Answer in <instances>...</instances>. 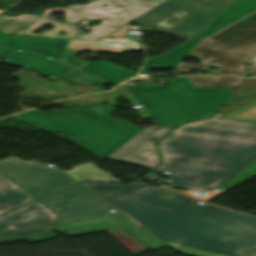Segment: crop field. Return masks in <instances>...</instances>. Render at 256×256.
I'll return each instance as SVG.
<instances>
[{
	"label": "crop field",
	"instance_id": "crop-field-1",
	"mask_svg": "<svg viewBox=\"0 0 256 256\" xmlns=\"http://www.w3.org/2000/svg\"><path fill=\"white\" fill-rule=\"evenodd\" d=\"M175 250L194 256H256V218L142 182L83 183Z\"/></svg>",
	"mask_w": 256,
	"mask_h": 256
},
{
	"label": "crop field",
	"instance_id": "crop-field-2",
	"mask_svg": "<svg viewBox=\"0 0 256 256\" xmlns=\"http://www.w3.org/2000/svg\"><path fill=\"white\" fill-rule=\"evenodd\" d=\"M214 117L173 129L159 143L165 184L209 191L256 155V124Z\"/></svg>",
	"mask_w": 256,
	"mask_h": 256
},
{
	"label": "crop field",
	"instance_id": "crop-field-3",
	"mask_svg": "<svg viewBox=\"0 0 256 256\" xmlns=\"http://www.w3.org/2000/svg\"><path fill=\"white\" fill-rule=\"evenodd\" d=\"M53 104L70 108L77 103L60 100ZM112 109L90 103L51 112L33 109L13 116L40 129L66 133L68 139L102 160L141 131L127 121L110 117Z\"/></svg>",
	"mask_w": 256,
	"mask_h": 256
},
{
	"label": "crop field",
	"instance_id": "crop-field-4",
	"mask_svg": "<svg viewBox=\"0 0 256 256\" xmlns=\"http://www.w3.org/2000/svg\"><path fill=\"white\" fill-rule=\"evenodd\" d=\"M164 1L165 0H98L88 5H69L65 8H45L41 17L31 14H22L18 17H6L0 14V31L5 34L13 35L70 38L79 32V30H76V25L62 24L46 19L52 11L66 12L64 20L66 23H78V21L83 19L101 20L107 18L105 16L106 14L116 17L107 22L110 26L108 29L100 26H92L90 27L91 32L89 34L82 33L73 38L98 40ZM102 4H107V7H102ZM46 23L54 25L55 28L51 31H44L41 35L31 34L32 31ZM61 31L68 33L60 37L58 33Z\"/></svg>",
	"mask_w": 256,
	"mask_h": 256
},
{
	"label": "crop field",
	"instance_id": "crop-field-5",
	"mask_svg": "<svg viewBox=\"0 0 256 256\" xmlns=\"http://www.w3.org/2000/svg\"><path fill=\"white\" fill-rule=\"evenodd\" d=\"M168 81V86L151 85L141 88L126 85L131 92L127 97L132 104L144 106L136 109L143 119L152 117L156 124L173 126L207 117L217 106L236 99L231 88H196L187 77Z\"/></svg>",
	"mask_w": 256,
	"mask_h": 256
},
{
	"label": "crop field",
	"instance_id": "crop-field-6",
	"mask_svg": "<svg viewBox=\"0 0 256 256\" xmlns=\"http://www.w3.org/2000/svg\"><path fill=\"white\" fill-rule=\"evenodd\" d=\"M210 38L188 56L208 58V64L220 65V74L245 76L244 61L256 52V11Z\"/></svg>",
	"mask_w": 256,
	"mask_h": 256
},
{
	"label": "crop field",
	"instance_id": "crop-field-7",
	"mask_svg": "<svg viewBox=\"0 0 256 256\" xmlns=\"http://www.w3.org/2000/svg\"><path fill=\"white\" fill-rule=\"evenodd\" d=\"M233 0H167L149 12L133 20L150 30L157 29L184 39L197 34ZM187 12L179 17L174 14ZM180 18L174 25L164 21L171 17Z\"/></svg>",
	"mask_w": 256,
	"mask_h": 256
},
{
	"label": "crop field",
	"instance_id": "crop-field-8",
	"mask_svg": "<svg viewBox=\"0 0 256 256\" xmlns=\"http://www.w3.org/2000/svg\"><path fill=\"white\" fill-rule=\"evenodd\" d=\"M256 10V0H234L214 20L204 27L189 42L167 52L166 54L147 59L140 74H150V69L174 68L182 61L203 39L215 34L246 15ZM153 77L167 76L166 74H152Z\"/></svg>",
	"mask_w": 256,
	"mask_h": 256
},
{
	"label": "crop field",
	"instance_id": "crop-field-9",
	"mask_svg": "<svg viewBox=\"0 0 256 256\" xmlns=\"http://www.w3.org/2000/svg\"><path fill=\"white\" fill-rule=\"evenodd\" d=\"M0 173L33 198L75 183L60 171L14 156L0 159Z\"/></svg>",
	"mask_w": 256,
	"mask_h": 256
},
{
	"label": "crop field",
	"instance_id": "crop-field-10",
	"mask_svg": "<svg viewBox=\"0 0 256 256\" xmlns=\"http://www.w3.org/2000/svg\"><path fill=\"white\" fill-rule=\"evenodd\" d=\"M38 200L57 214L55 223L108 214L110 213L108 210L112 209L80 185Z\"/></svg>",
	"mask_w": 256,
	"mask_h": 256
},
{
	"label": "crop field",
	"instance_id": "crop-field-11",
	"mask_svg": "<svg viewBox=\"0 0 256 256\" xmlns=\"http://www.w3.org/2000/svg\"><path fill=\"white\" fill-rule=\"evenodd\" d=\"M67 235L89 233L118 228L148 250L165 246L143 228L136 225L123 214H113L93 219L57 224ZM61 230V231H62Z\"/></svg>",
	"mask_w": 256,
	"mask_h": 256
},
{
	"label": "crop field",
	"instance_id": "crop-field-12",
	"mask_svg": "<svg viewBox=\"0 0 256 256\" xmlns=\"http://www.w3.org/2000/svg\"><path fill=\"white\" fill-rule=\"evenodd\" d=\"M169 129V127L150 125L107 158L154 168L159 163L154 142Z\"/></svg>",
	"mask_w": 256,
	"mask_h": 256
},
{
	"label": "crop field",
	"instance_id": "crop-field-13",
	"mask_svg": "<svg viewBox=\"0 0 256 256\" xmlns=\"http://www.w3.org/2000/svg\"><path fill=\"white\" fill-rule=\"evenodd\" d=\"M56 215L37 200L0 217V230L26 229L53 224Z\"/></svg>",
	"mask_w": 256,
	"mask_h": 256
},
{
	"label": "crop field",
	"instance_id": "crop-field-14",
	"mask_svg": "<svg viewBox=\"0 0 256 256\" xmlns=\"http://www.w3.org/2000/svg\"><path fill=\"white\" fill-rule=\"evenodd\" d=\"M68 40L7 35L1 47L40 53L60 62Z\"/></svg>",
	"mask_w": 256,
	"mask_h": 256
},
{
	"label": "crop field",
	"instance_id": "crop-field-15",
	"mask_svg": "<svg viewBox=\"0 0 256 256\" xmlns=\"http://www.w3.org/2000/svg\"><path fill=\"white\" fill-rule=\"evenodd\" d=\"M0 56L7 57V62L9 63L25 66L54 79L75 70L62 63L35 53L1 48Z\"/></svg>",
	"mask_w": 256,
	"mask_h": 256
},
{
	"label": "crop field",
	"instance_id": "crop-field-16",
	"mask_svg": "<svg viewBox=\"0 0 256 256\" xmlns=\"http://www.w3.org/2000/svg\"><path fill=\"white\" fill-rule=\"evenodd\" d=\"M129 25H124L113 33L100 39L99 41L71 40L69 47L84 50L101 51V52H118L123 53L129 50H142L141 44L130 37L126 32ZM129 37L128 40L123 39ZM115 37L116 39H108Z\"/></svg>",
	"mask_w": 256,
	"mask_h": 256
},
{
	"label": "crop field",
	"instance_id": "crop-field-17",
	"mask_svg": "<svg viewBox=\"0 0 256 256\" xmlns=\"http://www.w3.org/2000/svg\"><path fill=\"white\" fill-rule=\"evenodd\" d=\"M78 70L109 81L115 85L135 74L133 71L106 61L93 62L79 68Z\"/></svg>",
	"mask_w": 256,
	"mask_h": 256
},
{
	"label": "crop field",
	"instance_id": "crop-field-18",
	"mask_svg": "<svg viewBox=\"0 0 256 256\" xmlns=\"http://www.w3.org/2000/svg\"><path fill=\"white\" fill-rule=\"evenodd\" d=\"M31 199L33 198L0 174V214Z\"/></svg>",
	"mask_w": 256,
	"mask_h": 256
},
{
	"label": "crop field",
	"instance_id": "crop-field-19",
	"mask_svg": "<svg viewBox=\"0 0 256 256\" xmlns=\"http://www.w3.org/2000/svg\"><path fill=\"white\" fill-rule=\"evenodd\" d=\"M71 177L77 181H110L119 182L111 175L103 172L93 166L91 163H86L77 167H73L72 170L66 171Z\"/></svg>",
	"mask_w": 256,
	"mask_h": 256
},
{
	"label": "crop field",
	"instance_id": "crop-field-20",
	"mask_svg": "<svg viewBox=\"0 0 256 256\" xmlns=\"http://www.w3.org/2000/svg\"><path fill=\"white\" fill-rule=\"evenodd\" d=\"M45 228L42 227V228L21 231V232H13V231L0 232V243L23 240V239H27L29 242H32L37 240L48 239L55 236L53 233H51ZM12 233H16V234L12 235Z\"/></svg>",
	"mask_w": 256,
	"mask_h": 256
},
{
	"label": "crop field",
	"instance_id": "crop-field-21",
	"mask_svg": "<svg viewBox=\"0 0 256 256\" xmlns=\"http://www.w3.org/2000/svg\"><path fill=\"white\" fill-rule=\"evenodd\" d=\"M191 82H195L198 87H236L244 79L226 76H187ZM202 83L203 85H199ZM194 85V86H195Z\"/></svg>",
	"mask_w": 256,
	"mask_h": 256
},
{
	"label": "crop field",
	"instance_id": "crop-field-22",
	"mask_svg": "<svg viewBox=\"0 0 256 256\" xmlns=\"http://www.w3.org/2000/svg\"><path fill=\"white\" fill-rule=\"evenodd\" d=\"M61 78L79 83V84H86V83H93V84H97V85H103V84H107L109 82H106L104 80L98 79L96 77H93L91 75H88L86 73H83L81 71L75 70Z\"/></svg>",
	"mask_w": 256,
	"mask_h": 256
},
{
	"label": "crop field",
	"instance_id": "crop-field-23",
	"mask_svg": "<svg viewBox=\"0 0 256 256\" xmlns=\"http://www.w3.org/2000/svg\"><path fill=\"white\" fill-rule=\"evenodd\" d=\"M108 232L112 234L119 242H121L133 254L144 251V249H142L140 246H138L136 243H134L132 240H130L128 237H126L117 229L109 230Z\"/></svg>",
	"mask_w": 256,
	"mask_h": 256
},
{
	"label": "crop field",
	"instance_id": "crop-field-24",
	"mask_svg": "<svg viewBox=\"0 0 256 256\" xmlns=\"http://www.w3.org/2000/svg\"><path fill=\"white\" fill-rule=\"evenodd\" d=\"M78 51L76 50H70L68 49L63 60H62V63L66 64V65H69L75 69L89 63V62H85V61H81V60H77V59H74L76 54H77Z\"/></svg>",
	"mask_w": 256,
	"mask_h": 256
},
{
	"label": "crop field",
	"instance_id": "crop-field-25",
	"mask_svg": "<svg viewBox=\"0 0 256 256\" xmlns=\"http://www.w3.org/2000/svg\"><path fill=\"white\" fill-rule=\"evenodd\" d=\"M256 91V79H246L239 87L235 88L234 93L240 97Z\"/></svg>",
	"mask_w": 256,
	"mask_h": 256
},
{
	"label": "crop field",
	"instance_id": "crop-field-26",
	"mask_svg": "<svg viewBox=\"0 0 256 256\" xmlns=\"http://www.w3.org/2000/svg\"><path fill=\"white\" fill-rule=\"evenodd\" d=\"M253 99H256V95L242 98V99H240V100H238L234 103H231L227 106H224V107L220 108L218 111H221L223 113H227V112H229V111H231V110H233V109H235V108H237V107H239V106H241V105H243V104H245V103H247V102H249Z\"/></svg>",
	"mask_w": 256,
	"mask_h": 256
},
{
	"label": "crop field",
	"instance_id": "crop-field-27",
	"mask_svg": "<svg viewBox=\"0 0 256 256\" xmlns=\"http://www.w3.org/2000/svg\"><path fill=\"white\" fill-rule=\"evenodd\" d=\"M175 68L184 70V71H188V72H190L194 69H206L204 63L194 65V64H190V63H184V62H180Z\"/></svg>",
	"mask_w": 256,
	"mask_h": 256
},
{
	"label": "crop field",
	"instance_id": "crop-field-28",
	"mask_svg": "<svg viewBox=\"0 0 256 256\" xmlns=\"http://www.w3.org/2000/svg\"><path fill=\"white\" fill-rule=\"evenodd\" d=\"M170 189H171V188H170ZM174 190H176V189H174ZM178 191H181V190H178ZM183 192H185V193H187V194H189V195H191V196H194V197H196V198H198V199H201V200H203V201H205V202H207V201L213 199L214 197H216L217 195H219V194L222 193V192H210L207 196L198 197V196H196L195 194H193L192 192H189V191H183ZM222 194H223V193H222Z\"/></svg>",
	"mask_w": 256,
	"mask_h": 256
},
{
	"label": "crop field",
	"instance_id": "crop-field-29",
	"mask_svg": "<svg viewBox=\"0 0 256 256\" xmlns=\"http://www.w3.org/2000/svg\"><path fill=\"white\" fill-rule=\"evenodd\" d=\"M106 16H108L109 18L102 20V22L100 23V25L107 28V27H109V26L106 25L105 22L108 21V20H110V19H112V18H114V17H111V16H109V15H106Z\"/></svg>",
	"mask_w": 256,
	"mask_h": 256
},
{
	"label": "crop field",
	"instance_id": "crop-field-30",
	"mask_svg": "<svg viewBox=\"0 0 256 256\" xmlns=\"http://www.w3.org/2000/svg\"><path fill=\"white\" fill-rule=\"evenodd\" d=\"M5 34H3L2 32H0V46H1V44H2V42H3V40H4V38H5Z\"/></svg>",
	"mask_w": 256,
	"mask_h": 256
},
{
	"label": "crop field",
	"instance_id": "crop-field-31",
	"mask_svg": "<svg viewBox=\"0 0 256 256\" xmlns=\"http://www.w3.org/2000/svg\"><path fill=\"white\" fill-rule=\"evenodd\" d=\"M249 63H255L256 64V55L248 60Z\"/></svg>",
	"mask_w": 256,
	"mask_h": 256
},
{
	"label": "crop field",
	"instance_id": "crop-field-32",
	"mask_svg": "<svg viewBox=\"0 0 256 256\" xmlns=\"http://www.w3.org/2000/svg\"><path fill=\"white\" fill-rule=\"evenodd\" d=\"M86 1L93 2V1H95V0H86Z\"/></svg>",
	"mask_w": 256,
	"mask_h": 256
}]
</instances>
